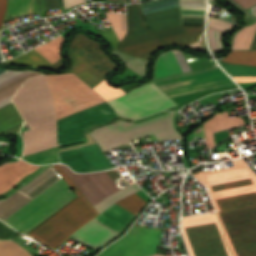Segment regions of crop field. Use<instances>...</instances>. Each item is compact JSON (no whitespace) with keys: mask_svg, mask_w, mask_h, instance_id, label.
I'll list each match as a JSON object with an SVG mask.
<instances>
[{"mask_svg":"<svg viewBox=\"0 0 256 256\" xmlns=\"http://www.w3.org/2000/svg\"><path fill=\"white\" fill-rule=\"evenodd\" d=\"M48 78L57 119L105 101L73 73ZM48 78L28 79L13 99L31 129L20 133L25 145L23 156L57 146L56 118Z\"/></svg>","mask_w":256,"mask_h":256,"instance_id":"crop-field-1","label":"crop field"},{"mask_svg":"<svg viewBox=\"0 0 256 256\" xmlns=\"http://www.w3.org/2000/svg\"><path fill=\"white\" fill-rule=\"evenodd\" d=\"M179 5L178 0H155L142 4L143 13ZM182 24L204 25L205 0H180ZM128 32L117 49L129 55L149 59L164 46L198 42L204 26L181 25L179 6L146 14L144 26L139 5L126 7Z\"/></svg>","mask_w":256,"mask_h":256,"instance_id":"crop-field-2","label":"crop field"},{"mask_svg":"<svg viewBox=\"0 0 256 256\" xmlns=\"http://www.w3.org/2000/svg\"><path fill=\"white\" fill-rule=\"evenodd\" d=\"M232 162L235 167L194 175L207 186L217 212L256 204V175L243 159ZM217 214L232 254L256 253V205Z\"/></svg>","mask_w":256,"mask_h":256,"instance_id":"crop-field-3","label":"crop field"},{"mask_svg":"<svg viewBox=\"0 0 256 256\" xmlns=\"http://www.w3.org/2000/svg\"><path fill=\"white\" fill-rule=\"evenodd\" d=\"M53 166L78 197L33 231L27 233L52 249L99 214L60 166Z\"/></svg>","mask_w":256,"mask_h":256,"instance_id":"crop-field-4","label":"crop field"},{"mask_svg":"<svg viewBox=\"0 0 256 256\" xmlns=\"http://www.w3.org/2000/svg\"><path fill=\"white\" fill-rule=\"evenodd\" d=\"M182 230L190 256H232L215 212L183 218Z\"/></svg>","mask_w":256,"mask_h":256,"instance_id":"crop-field-5","label":"crop field"},{"mask_svg":"<svg viewBox=\"0 0 256 256\" xmlns=\"http://www.w3.org/2000/svg\"><path fill=\"white\" fill-rule=\"evenodd\" d=\"M74 197V192L61 178L6 220L27 233Z\"/></svg>","mask_w":256,"mask_h":256,"instance_id":"crop-field-6","label":"crop field"},{"mask_svg":"<svg viewBox=\"0 0 256 256\" xmlns=\"http://www.w3.org/2000/svg\"><path fill=\"white\" fill-rule=\"evenodd\" d=\"M173 112L164 114L162 116L132 125L134 123H128L124 121H119L113 124H110L108 126L102 127L100 129L95 130L92 132V136L97 141V143L100 145V147L108 146L114 143H118L121 141H124L126 139H129V141L149 135L154 133L158 141H166V140H178L182 139L179 133L175 130L173 127L172 119H173ZM172 116V117H169ZM169 117V118H166ZM166 118V119H163ZM163 119V120H160ZM160 120V121H157ZM157 121V122H154ZM154 122V123H151ZM148 123H151L149 125H146ZM128 125H132L129 127H125ZM146 125V126H143ZM143 126V127H140ZM125 127V128H122ZM140 127V128H137ZM123 132L128 131L123 133ZM90 134V135H91Z\"/></svg>","mask_w":256,"mask_h":256,"instance_id":"crop-field-7","label":"crop field"},{"mask_svg":"<svg viewBox=\"0 0 256 256\" xmlns=\"http://www.w3.org/2000/svg\"><path fill=\"white\" fill-rule=\"evenodd\" d=\"M92 41L77 35L70 47V70L92 88L117 66Z\"/></svg>","mask_w":256,"mask_h":256,"instance_id":"crop-field-8","label":"crop field"},{"mask_svg":"<svg viewBox=\"0 0 256 256\" xmlns=\"http://www.w3.org/2000/svg\"><path fill=\"white\" fill-rule=\"evenodd\" d=\"M109 102L120 115L131 118H140L176 105L153 83L135 88Z\"/></svg>","mask_w":256,"mask_h":256,"instance_id":"crop-field-9","label":"crop field"},{"mask_svg":"<svg viewBox=\"0 0 256 256\" xmlns=\"http://www.w3.org/2000/svg\"><path fill=\"white\" fill-rule=\"evenodd\" d=\"M116 116L118 114L105 102L58 120V146L84 139L82 129Z\"/></svg>","mask_w":256,"mask_h":256,"instance_id":"crop-field-10","label":"crop field"},{"mask_svg":"<svg viewBox=\"0 0 256 256\" xmlns=\"http://www.w3.org/2000/svg\"><path fill=\"white\" fill-rule=\"evenodd\" d=\"M161 229L146 228L134 224L126 235L104 249L98 256L153 255L157 251Z\"/></svg>","mask_w":256,"mask_h":256,"instance_id":"crop-field-11","label":"crop field"},{"mask_svg":"<svg viewBox=\"0 0 256 256\" xmlns=\"http://www.w3.org/2000/svg\"><path fill=\"white\" fill-rule=\"evenodd\" d=\"M35 75L38 74L0 71V103L11 98L25 79ZM21 121L10 99L0 104V131Z\"/></svg>","mask_w":256,"mask_h":256,"instance_id":"crop-field-12","label":"crop field"},{"mask_svg":"<svg viewBox=\"0 0 256 256\" xmlns=\"http://www.w3.org/2000/svg\"><path fill=\"white\" fill-rule=\"evenodd\" d=\"M60 166L93 206L106 196L120 190L105 171L90 174H75L67 166L63 164H60Z\"/></svg>","mask_w":256,"mask_h":256,"instance_id":"crop-field-13","label":"crop field"},{"mask_svg":"<svg viewBox=\"0 0 256 256\" xmlns=\"http://www.w3.org/2000/svg\"><path fill=\"white\" fill-rule=\"evenodd\" d=\"M58 179V176L50 167L38 177H36L34 180H32L30 183H28L26 186H24L21 190L33 196H37L39 193L48 188ZM31 199L32 198L17 191L8 199L0 201V217L7 218L9 215H11L13 212L22 207Z\"/></svg>","mask_w":256,"mask_h":256,"instance_id":"crop-field-14","label":"crop field"},{"mask_svg":"<svg viewBox=\"0 0 256 256\" xmlns=\"http://www.w3.org/2000/svg\"><path fill=\"white\" fill-rule=\"evenodd\" d=\"M190 71L181 51H169L162 54L154 65V79Z\"/></svg>","mask_w":256,"mask_h":256,"instance_id":"crop-field-15","label":"crop field"},{"mask_svg":"<svg viewBox=\"0 0 256 256\" xmlns=\"http://www.w3.org/2000/svg\"><path fill=\"white\" fill-rule=\"evenodd\" d=\"M39 166L30 165L24 161L19 160L15 163H7L0 166V194L11 189L21 179L29 176Z\"/></svg>","mask_w":256,"mask_h":256,"instance_id":"crop-field-16","label":"crop field"},{"mask_svg":"<svg viewBox=\"0 0 256 256\" xmlns=\"http://www.w3.org/2000/svg\"><path fill=\"white\" fill-rule=\"evenodd\" d=\"M134 216L135 215L114 203L93 220L118 234Z\"/></svg>","mask_w":256,"mask_h":256,"instance_id":"crop-field-17","label":"crop field"},{"mask_svg":"<svg viewBox=\"0 0 256 256\" xmlns=\"http://www.w3.org/2000/svg\"><path fill=\"white\" fill-rule=\"evenodd\" d=\"M245 124L242 117L229 118L227 111L216 114L204 124L206 144L210 148L214 146L213 133Z\"/></svg>","mask_w":256,"mask_h":256,"instance_id":"crop-field-18","label":"crop field"},{"mask_svg":"<svg viewBox=\"0 0 256 256\" xmlns=\"http://www.w3.org/2000/svg\"><path fill=\"white\" fill-rule=\"evenodd\" d=\"M4 64H11V65H19V66H31L43 69H61L64 66V61L62 58L55 64H50L46 61L40 54H38L34 49L5 62Z\"/></svg>","mask_w":256,"mask_h":256,"instance_id":"crop-field-19","label":"crop field"},{"mask_svg":"<svg viewBox=\"0 0 256 256\" xmlns=\"http://www.w3.org/2000/svg\"><path fill=\"white\" fill-rule=\"evenodd\" d=\"M72 235L98 248L115 236L91 221Z\"/></svg>","mask_w":256,"mask_h":256,"instance_id":"crop-field-20","label":"crop field"},{"mask_svg":"<svg viewBox=\"0 0 256 256\" xmlns=\"http://www.w3.org/2000/svg\"><path fill=\"white\" fill-rule=\"evenodd\" d=\"M79 150L81 151L93 171H101L112 168V165L101 152L97 144L80 147Z\"/></svg>","mask_w":256,"mask_h":256,"instance_id":"crop-field-21","label":"crop field"},{"mask_svg":"<svg viewBox=\"0 0 256 256\" xmlns=\"http://www.w3.org/2000/svg\"><path fill=\"white\" fill-rule=\"evenodd\" d=\"M63 160L76 172H92V169L78 150L72 149L59 153Z\"/></svg>","mask_w":256,"mask_h":256,"instance_id":"crop-field-22","label":"crop field"},{"mask_svg":"<svg viewBox=\"0 0 256 256\" xmlns=\"http://www.w3.org/2000/svg\"><path fill=\"white\" fill-rule=\"evenodd\" d=\"M62 42H63V39L60 36L52 41H49L35 48V50L38 51L42 56H44L48 61H50L53 64L60 58L59 51H60Z\"/></svg>","mask_w":256,"mask_h":256,"instance_id":"crop-field-23","label":"crop field"},{"mask_svg":"<svg viewBox=\"0 0 256 256\" xmlns=\"http://www.w3.org/2000/svg\"><path fill=\"white\" fill-rule=\"evenodd\" d=\"M32 0H7L5 18L18 17L30 14Z\"/></svg>","mask_w":256,"mask_h":256,"instance_id":"crop-field-24","label":"crop field"},{"mask_svg":"<svg viewBox=\"0 0 256 256\" xmlns=\"http://www.w3.org/2000/svg\"><path fill=\"white\" fill-rule=\"evenodd\" d=\"M112 51L123 61L125 66L130 68L139 76L143 78L145 77V64L147 62L146 59L135 58L113 48Z\"/></svg>","mask_w":256,"mask_h":256,"instance_id":"crop-field-25","label":"crop field"},{"mask_svg":"<svg viewBox=\"0 0 256 256\" xmlns=\"http://www.w3.org/2000/svg\"><path fill=\"white\" fill-rule=\"evenodd\" d=\"M141 188L138 186L137 183H134L108 197H106L103 201H101L100 203H98L96 206H94L97 211L100 213L101 211H103L104 209H106L108 206H110L112 203H114L115 201L133 193L136 192L138 190H140Z\"/></svg>","mask_w":256,"mask_h":256,"instance_id":"crop-field-26","label":"crop field"},{"mask_svg":"<svg viewBox=\"0 0 256 256\" xmlns=\"http://www.w3.org/2000/svg\"><path fill=\"white\" fill-rule=\"evenodd\" d=\"M256 31V24L243 28L235 35L233 49H248Z\"/></svg>","mask_w":256,"mask_h":256,"instance_id":"crop-field-27","label":"crop field"},{"mask_svg":"<svg viewBox=\"0 0 256 256\" xmlns=\"http://www.w3.org/2000/svg\"><path fill=\"white\" fill-rule=\"evenodd\" d=\"M221 60L230 63L256 66V51H232L227 57Z\"/></svg>","mask_w":256,"mask_h":256,"instance_id":"crop-field-28","label":"crop field"},{"mask_svg":"<svg viewBox=\"0 0 256 256\" xmlns=\"http://www.w3.org/2000/svg\"><path fill=\"white\" fill-rule=\"evenodd\" d=\"M228 74L232 76H256L255 66L235 65L219 61Z\"/></svg>","mask_w":256,"mask_h":256,"instance_id":"crop-field-29","label":"crop field"},{"mask_svg":"<svg viewBox=\"0 0 256 256\" xmlns=\"http://www.w3.org/2000/svg\"><path fill=\"white\" fill-rule=\"evenodd\" d=\"M108 20L114 28L119 40L125 37L126 31H123V14L105 12ZM124 30H126V14H124Z\"/></svg>","mask_w":256,"mask_h":256,"instance_id":"crop-field-30","label":"crop field"},{"mask_svg":"<svg viewBox=\"0 0 256 256\" xmlns=\"http://www.w3.org/2000/svg\"><path fill=\"white\" fill-rule=\"evenodd\" d=\"M0 256H30L13 240L0 241Z\"/></svg>","mask_w":256,"mask_h":256,"instance_id":"crop-field-31","label":"crop field"},{"mask_svg":"<svg viewBox=\"0 0 256 256\" xmlns=\"http://www.w3.org/2000/svg\"><path fill=\"white\" fill-rule=\"evenodd\" d=\"M116 203L136 215L146 202L134 193Z\"/></svg>","mask_w":256,"mask_h":256,"instance_id":"crop-field-32","label":"crop field"},{"mask_svg":"<svg viewBox=\"0 0 256 256\" xmlns=\"http://www.w3.org/2000/svg\"><path fill=\"white\" fill-rule=\"evenodd\" d=\"M105 100L124 95L125 93L120 88H113L108 84L106 79L94 88Z\"/></svg>","mask_w":256,"mask_h":256,"instance_id":"crop-field-33","label":"crop field"},{"mask_svg":"<svg viewBox=\"0 0 256 256\" xmlns=\"http://www.w3.org/2000/svg\"><path fill=\"white\" fill-rule=\"evenodd\" d=\"M58 8H62L60 0H33L31 14Z\"/></svg>","mask_w":256,"mask_h":256,"instance_id":"crop-field-34","label":"crop field"},{"mask_svg":"<svg viewBox=\"0 0 256 256\" xmlns=\"http://www.w3.org/2000/svg\"><path fill=\"white\" fill-rule=\"evenodd\" d=\"M236 23H237V21H233V20H229V19H211L209 26L227 31L231 27H233ZM214 28H210V29L217 30ZM221 30H217V31H220L223 33L225 32V31H221Z\"/></svg>","mask_w":256,"mask_h":256,"instance_id":"crop-field-35","label":"crop field"},{"mask_svg":"<svg viewBox=\"0 0 256 256\" xmlns=\"http://www.w3.org/2000/svg\"><path fill=\"white\" fill-rule=\"evenodd\" d=\"M98 36L104 38L111 47L116 48L118 45L119 41L113 31V29H108L103 32L97 33Z\"/></svg>","mask_w":256,"mask_h":256,"instance_id":"crop-field-36","label":"crop field"},{"mask_svg":"<svg viewBox=\"0 0 256 256\" xmlns=\"http://www.w3.org/2000/svg\"><path fill=\"white\" fill-rule=\"evenodd\" d=\"M213 34H214V40H215V44H216L218 51L223 50L222 44L220 42V37L222 36V33H217L214 31ZM208 37H209V41H210L212 50L217 51L215 44H214L212 31H210V30H208Z\"/></svg>","mask_w":256,"mask_h":256,"instance_id":"crop-field-37","label":"crop field"},{"mask_svg":"<svg viewBox=\"0 0 256 256\" xmlns=\"http://www.w3.org/2000/svg\"><path fill=\"white\" fill-rule=\"evenodd\" d=\"M15 234L17 233L0 223V240L10 239Z\"/></svg>","mask_w":256,"mask_h":256,"instance_id":"crop-field-38","label":"crop field"},{"mask_svg":"<svg viewBox=\"0 0 256 256\" xmlns=\"http://www.w3.org/2000/svg\"><path fill=\"white\" fill-rule=\"evenodd\" d=\"M85 0H63L65 9L75 6L77 4L85 3Z\"/></svg>","mask_w":256,"mask_h":256,"instance_id":"crop-field-39","label":"crop field"},{"mask_svg":"<svg viewBox=\"0 0 256 256\" xmlns=\"http://www.w3.org/2000/svg\"><path fill=\"white\" fill-rule=\"evenodd\" d=\"M240 5H242L245 9L256 4V0H236Z\"/></svg>","mask_w":256,"mask_h":256,"instance_id":"crop-field-40","label":"crop field"},{"mask_svg":"<svg viewBox=\"0 0 256 256\" xmlns=\"http://www.w3.org/2000/svg\"><path fill=\"white\" fill-rule=\"evenodd\" d=\"M5 10H6V0H0V26L3 22Z\"/></svg>","mask_w":256,"mask_h":256,"instance_id":"crop-field-41","label":"crop field"},{"mask_svg":"<svg viewBox=\"0 0 256 256\" xmlns=\"http://www.w3.org/2000/svg\"><path fill=\"white\" fill-rule=\"evenodd\" d=\"M236 82H253L256 81V77H233Z\"/></svg>","mask_w":256,"mask_h":256,"instance_id":"crop-field-42","label":"crop field"},{"mask_svg":"<svg viewBox=\"0 0 256 256\" xmlns=\"http://www.w3.org/2000/svg\"><path fill=\"white\" fill-rule=\"evenodd\" d=\"M138 84H134V85H125L120 87L125 93L128 92L129 90L135 88Z\"/></svg>","mask_w":256,"mask_h":256,"instance_id":"crop-field-43","label":"crop field"},{"mask_svg":"<svg viewBox=\"0 0 256 256\" xmlns=\"http://www.w3.org/2000/svg\"><path fill=\"white\" fill-rule=\"evenodd\" d=\"M190 47H192V48H194V49H196V50L204 51L199 42H198V43H195V44H193V45H190Z\"/></svg>","mask_w":256,"mask_h":256,"instance_id":"crop-field-44","label":"crop field"},{"mask_svg":"<svg viewBox=\"0 0 256 256\" xmlns=\"http://www.w3.org/2000/svg\"><path fill=\"white\" fill-rule=\"evenodd\" d=\"M21 125H22V124H20V125L14 127V128H12V129H10V130H8V131H5V132L16 133V132H18V130H19V128L21 127Z\"/></svg>","mask_w":256,"mask_h":256,"instance_id":"crop-field-45","label":"crop field"},{"mask_svg":"<svg viewBox=\"0 0 256 256\" xmlns=\"http://www.w3.org/2000/svg\"><path fill=\"white\" fill-rule=\"evenodd\" d=\"M251 10H252V14L254 15V16H256V6L255 7H253V8H251Z\"/></svg>","mask_w":256,"mask_h":256,"instance_id":"crop-field-46","label":"crop field"},{"mask_svg":"<svg viewBox=\"0 0 256 256\" xmlns=\"http://www.w3.org/2000/svg\"><path fill=\"white\" fill-rule=\"evenodd\" d=\"M255 45H256V37H255V39H254V42H253V45H252L251 49H252Z\"/></svg>","mask_w":256,"mask_h":256,"instance_id":"crop-field-47","label":"crop field"},{"mask_svg":"<svg viewBox=\"0 0 256 256\" xmlns=\"http://www.w3.org/2000/svg\"><path fill=\"white\" fill-rule=\"evenodd\" d=\"M153 256H164V255H160V254H155V255H153Z\"/></svg>","mask_w":256,"mask_h":256,"instance_id":"crop-field-48","label":"crop field"},{"mask_svg":"<svg viewBox=\"0 0 256 256\" xmlns=\"http://www.w3.org/2000/svg\"><path fill=\"white\" fill-rule=\"evenodd\" d=\"M0 60H3V58H2V56H1V54H0Z\"/></svg>","mask_w":256,"mask_h":256,"instance_id":"crop-field-49","label":"crop field"},{"mask_svg":"<svg viewBox=\"0 0 256 256\" xmlns=\"http://www.w3.org/2000/svg\"><path fill=\"white\" fill-rule=\"evenodd\" d=\"M202 43H203V45H204V42H203V40L201 41Z\"/></svg>","mask_w":256,"mask_h":256,"instance_id":"crop-field-50","label":"crop field"},{"mask_svg":"<svg viewBox=\"0 0 256 256\" xmlns=\"http://www.w3.org/2000/svg\"><path fill=\"white\" fill-rule=\"evenodd\" d=\"M253 50H256V47Z\"/></svg>","mask_w":256,"mask_h":256,"instance_id":"crop-field-51","label":"crop field"},{"mask_svg":"<svg viewBox=\"0 0 256 256\" xmlns=\"http://www.w3.org/2000/svg\"><path fill=\"white\" fill-rule=\"evenodd\" d=\"M210 1H215V0H210Z\"/></svg>","mask_w":256,"mask_h":256,"instance_id":"crop-field-52","label":"crop field"}]
</instances>
